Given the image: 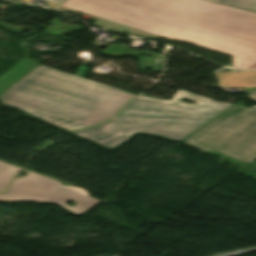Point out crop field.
<instances>
[{"label": "crop field", "instance_id": "11", "mask_svg": "<svg viewBox=\"0 0 256 256\" xmlns=\"http://www.w3.org/2000/svg\"><path fill=\"white\" fill-rule=\"evenodd\" d=\"M247 98L251 101L256 102V88L247 94Z\"/></svg>", "mask_w": 256, "mask_h": 256}, {"label": "crop field", "instance_id": "10", "mask_svg": "<svg viewBox=\"0 0 256 256\" xmlns=\"http://www.w3.org/2000/svg\"><path fill=\"white\" fill-rule=\"evenodd\" d=\"M22 2H30L31 0H19ZM48 4V7H52L55 8L57 5H59L61 2H63L64 0H45Z\"/></svg>", "mask_w": 256, "mask_h": 256}, {"label": "crop field", "instance_id": "4", "mask_svg": "<svg viewBox=\"0 0 256 256\" xmlns=\"http://www.w3.org/2000/svg\"><path fill=\"white\" fill-rule=\"evenodd\" d=\"M183 142L249 163L256 159V108L236 103Z\"/></svg>", "mask_w": 256, "mask_h": 256}, {"label": "crop field", "instance_id": "1", "mask_svg": "<svg viewBox=\"0 0 256 256\" xmlns=\"http://www.w3.org/2000/svg\"><path fill=\"white\" fill-rule=\"evenodd\" d=\"M58 10L86 13L106 29L229 53L234 68L256 69L253 12L205 0H69Z\"/></svg>", "mask_w": 256, "mask_h": 256}, {"label": "crop field", "instance_id": "6", "mask_svg": "<svg viewBox=\"0 0 256 256\" xmlns=\"http://www.w3.org/2000/svg\"><path fill=\"white\" fill-rule=\"evenodd\" d=\"M222 88L242 87L248 93L256 87V71L216 72Z\"/></svg>", "mask_w": 256, "mask_h": 256}, {"label": "crop field", "instance_id": "3", "mask_svg": "<svg viewBox=\"0 0 256 256\" xmlns=\"http://www.w3.org/2000/svg\"><path fill=\"white\" fill-rule=\"evenodd\" d=\"M181 98L197 103L178 101ZM230 105L180 89L170 101L139 96L118 114L117 119L73 134L104 148L116 147L137 132L181 141Z\"/></svg>", "mask_w": 256, "mask_h": 256}, {"label": "crop field", "instance_id": "9", "mask_svg": "<svg viewBox=\"0 0 256 256\" xmlns=\"http://www.w3.org/2000/svg\"><path fill=\"white\" fill-rule=\"evenodd\" d=\"M219 3L256 12V0H220Z\"/></svg>", "mask_w": 256, "mask_h": 256}, {"label": "crop field", "instance_id": "5", "mask_svg": "<svg viewBox=\"0 0 256 256\" xmlns=\"http://www.w3.org/2000/svg\"><path fill=\"white\" fill-rule=\"evenodd\" d=\"M25 173H27L25 177L14 180L6 193H0V200L57 203L75 214H84L99 202L88 196L86 191L79 187L61 185L58 181L29 170ZM65 201L75 202V206H66L64 205Z\"/></svg>", "mask_w": 256, "mask_h": 256}, {"label": "crop field", "instance_id": "8", "mask_svg": "<svg viewBox=\"0 0 256 256\" xmlns=\"http://www.w3.org/2000/svg\"><path fill=\"white\" fill-rule=\"evenodd\" d=\"M22 170L24 169L0 161V191L5 190L11 179Z\"/></svg>", "mask_w": 256, "mask_h": 256}, {"label": "crop field", "instance_id": "7", "mask_svg": "<svg viewBox=\"0 0 256 256\" xmlns=\"http://www.w3.org/2000/svg\"><path fill=\"white\" fill-rule=\"evenodd\" d=\"M39 64L24 57L2 75H0V94L25 76Z\"/></svg>", "mask_w": 256, "mask_h": 256}, {"label": "crop field", "instance_id": "2", "mask_svg": "<svg viewBox=\"0 0 256 256\" xmlns=\"http://www.w3.org/2000/svg\"><path fill=\"white\" fill-rule=\"evenodd\" d=\"M133 96L39 65L1 94L0 101L71 131L112 117Z\"/></svg>", "mask_w": 256, "mask_h": 256}, {"label": "crop field", "instance_id": "12", "mask_svg": "<svg viewBox=\"0 0 256 256\" xmlns=\"http://www.w3.org/2000/svg\"><path fill=\"white\" fill-rule=\"evenodd\" d=\"M209 1L218 2L219 0H209Z\"/></svg>", "mask_w": 256, "mask_h": 256}]
</instances>
